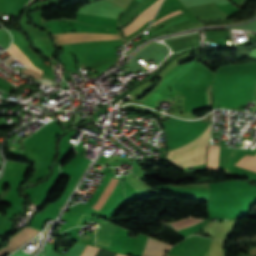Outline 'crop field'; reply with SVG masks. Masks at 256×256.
<instances>
[{"label": "crop field", "mask_w": 256, "mask_h": 256, "mask_svg": "<svg viewBox=\"0 0 256 256\" xmlns=\"http://www.w3.org/2000/svg\"><path fill=\"white\" fill-rule=\"evenodd\" d=\"M7 52L10 53L11 55H13L15 58H17L23 64H25V65L29 66L30 68H32L33 70L39 71L41 73L43 72L40 69H38L37 67H35L34 65H32L30 60H28V58L20 51V49L14 43H12V45L7 50Z\"/></svg>", "instance_id": "crop-field-6"}, {"label": "crop field", "mask_w": 256, "mask_h": 256, "mask_svg": "<svg viewBox=\"0 0 256 256\" xmlns=\"http://www.w3.org/2000/svg\"><path fill=\"white\" fill-rule=\"evenodd\" d=\"M211 239L199 236H190L186 238L179 256H201L209 248Z\"/></svg>", "instance_id": "crop-field-2"}, {"label": "crop field", "mask_w": 256, "mask_h": 256, "mask_svg": "<svg viewBox=\"0 0 256 256\" xmlns=\"http://www.w3.org/2000/svg\"><path fill=\"white\" fill-rule=\"evenodd\" d=\"M97 251H98V248L85 245V247L82 250L80 256H94ZM116 256H125V255L116 254Z\"/></svg>", "instance_id": "crop-field-7"}, {"label": "crop field", "mask_w": 256, "mask_h": 256, "mask_svg": "<svg viewBox=\"0 0 256 256\" xmlns=\"http://www.w3.org/2000/svg\"><path fill=\"white\" fill-rule=\"evenodd\" d=\"M242 164L256 169V153L250 152L249 155L244 159Z\"/></svg>", "instance_id": "crop-field-8"}, {"label": "crop field", "mask_w": 256, "mask_h": 256, "mask_svg": "<svg viewBox=\"0 0 256 256\" xmlns=\"http://www.w3.org/2000/svg\"><path fill=\"white\" fill-rule=\"evenodd\" d=\"M179 13H181L180 10L174 11V12L170 13L169 15H167V16H165V17L159 19V20H157V21L154 22V23H152V26L155 25V24H157V23H159V22H161V21H163V20H165V19H167V18H169V17H171V16H173V15L179 14Z\"/></svg>", "instance_id": "crop-field-9"}, {"label": "crop field", "mask_w": 256, "mask_h": 256, "mask_svg": "<svg viewBox=\"0 0 256 256\" xmlns=\"http://www.w3.org/2000/svg\"><path fill=\"white\" fill-rule=\"evenodd\" d=\"M36 234V230H33L31 228H25L20 233L10 238V245L7 248L3 247L2 249H0V256H3L7 253H11L19 246H21L23 243L34 237Z\"/></svg>", "instance_id": "crop-field-3"}, {"label": "crop field", "mask_w": 256, "mask_h": 256, "mask_svg": "<svg viewBox=\"0 0 256 256\" xmlns=\"http://www.w3.org/2000/svg\"><path fill=\"white\" fill-rule=\"evenodd\" d=\"M167 245L168 244L162 241L147 237L146 246L142 256H164ZM169 247H171V245H168V248Z\"/></svg>", "instance_id": "crop-field-5"}, {"label": "crop field", "mask_w": 256, "mask_h": 256, "mask_svg": "<svg viewBox=\"0 0 256 256\" xmlns=\"http://www.w3.org/2000/svg\"><path fill=\"white\" fill-rule=\"evenodd\" d=\"M254 189H256V188L238 189V190H228V191H217V192H212L211 194L226 193V192H235V191H245V190H254Z\"/></svg>", "instance_id": "crop-field-10"}, {"label": "crop field", "mask_w": 256, "mask_h": 256, "mask_svg": "<svg viewBox=\"0 0 256 256\" xmlns=\"http://www.w3.org/2000/svg\"><path fill=\"white\" fill-rule=\"evenodd\" d=\"M161 0H157L154 4H152L148 9L142 11L135 19L134 21L127 25L126 27L122 28L123 30L128 28L129 26H131L135 21H137L141 15L145 12H147L148 10H150L151 8H153L155 5H157L158 3H160ZM159 5V4H158ZM158 5L156 7H154L153 9H151L150 11H148L143 17H141L132 27L124 30L126 36L131 34L132 32H134L136 29H138L141 25H143L145 22L151 20V18L153 17V15L156 12V9L158 7Z\"/></svg>", "instance_id": "crop-field-4"}, {"label": "crop field", "mask_w": 256, "mask_h": 256, "mask_svg": "<svg viewBox=\"0 0 256 256\" xmlns=\"http://www.w3.org/2000/svg\"><path fill=\"white\" fill-rule=\"evenodd\" d=\"M210 129L211 123L208 128L193 141L170 150L167 161L179 168L204 163L206 159Z\"/></svg>", "instance_id": "crop-field-1"}]
</instances>
